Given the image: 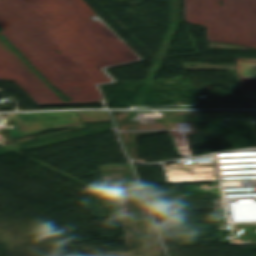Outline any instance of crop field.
Here are the masks:
<instances>
[{
  "mask_svg": "<svg viewBox=\"0 0 256 256\" xmlns=\"http://www.w3.org/2000/svg\"><path fill=\"white\" fill-rule=\"evenodd\" d=\"M79 115L83 122L110 121L106 112H81ZM9 118H16L21 133L12 134L14 139L49 130L83 128L77 113L12 114Z\"/></svg>",
  "mask_w": 256,
  "mask_h": 256,
  "instance_id": "obj_1",
  "label": "crop field"
},
{
  "mask_svg": "<svg viewBox=\"0 0 256 256\" xmlns=\"http://www.w3.org/2000/svg\"><path fill=\"white\" fill-rule=\"evenodd\" d=\"M240 77L256 79V60L237 59Z\"/></svg>",
  "mask_w": 256,
  "mask_h": 256,
  "instance_id": "obj_2",
  "label": "crop field"
}]
</instances>
